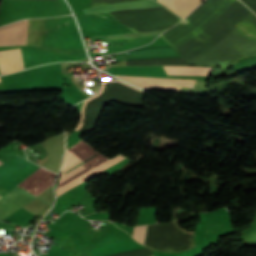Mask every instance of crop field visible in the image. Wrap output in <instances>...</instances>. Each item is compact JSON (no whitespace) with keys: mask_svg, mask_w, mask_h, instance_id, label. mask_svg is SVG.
Returning <instances> with one entry per match:
<instances>
[{"mask_svg":"<svg viewBox=\"0 0 256 256\" xmlns=\"http://www.w3.org/2000/svg\"><path fill=\"white\" fill-rule=\"evenodd\" d=\"M134 85L181 91L182 86L194 88L193 80L174 78H147L116 75Z\"/></svg>","mask_w":256,"mask_h":256,"instance_id":"2","label":"crop field"},{"mask_svg":"<svg viewBox=\"0 0 256 256\" xmlns=\"http://www.w3.org/2000/svg\"><path fill=\"white\" fill-rule=\"evenodd\" d=\"M29 163L30 162H28L18 156L13 157L7 163L0 166V180L15 173L16 171L22 169Z\"/></svg>","mask_w":256,"mask_h":256,"instance_id":"8","label":"crop field"},{"mask_svg":"<svg viewBox=\"0 0 256 256\" xmlns=\"http://www.w3.org/2000/svg\"><path fill=\"white\" fill-rule=\"evenodd\" d=\"M105 157L99 152H94L91 155L87 156L86 158L82 159L81 161L77 162L76 164L72 165L71 167L67 168L66 170L62 171L59 182L64 180L65 178L73 175L74 173L80 171L81 169L89 166L90 164L96 162L97 160ZM126 158L122 154H117L114 157L108 159L103 158L98 162L90 165L89 167L83 169L82 171L74 174L73 176L67 178L66 180L58 183L57 188V195L65 192L69 188L93 177L94 175L100 173L101 171L107 169L108 167L112 166L113 164L119 162L120 160ZM95 177V176H94Z\"/></svg>","mask_w":256,"mask_h":256,"instance_id":"1","label":"crop field"},{"mask_svg":"<svg viewBox=\"0 0 256 256\" xmlns=\"http://www.w3.org/2000/svg\"><path fill=\"white\" fill-rule=\"evenodd\" d=\"M23 68L24 66H23L20 48L0 51V73L1 74L11 73Z\"/></svg>","mask_w":256,"mask_h":256,"instance_id":"5","label":"crop field"},{"mask_svg":"<svg viewBox=\"0 0 256 256\" xmlns=\"http://www.w3.org/2000/svg\"><path fill=\"white\" fill-rule=\"evenodd\" d=\"M1 164L3 163L0 162V165ZM33 198L35 197L16 187L8 194L0 198V220H3L11 215L13 212L24 206Z\"/></svg>","mask_w":256,"mask_h":256,"instance_id":"3","label":"crop field"},{"mask_svg":"<svg viewBox=\"0 0 256 256\" xmlns=\"http://www.w3.org/2000/svg\"><path fill=\"white\" fill-rule=\"evenodd\" d=\"M54 175L55 174L40 167L23 181H21L17 186L27 190L28 192L36 196L37 194L33 193L32 191L45 183L50 178H52Z\"/></svg>","mask_w":256,"mask_h":256,"instance_id":"6","label":"crop field"},{"mask_svg":"<svg viewBox=\"0 0 256 256\" xmlns=\"http://www.w3.org/2000/svg\"><path fill=\"white\" fill-rule=\"evenodd\" d=\"M147 226L134 227L132 237H134L139 243H144L145 233Z\"/></svg>","mask_w":256,"mask_h":256,"instance_id":"9","label":"crop field"},{"mask_svg":"<svg viewBox=\"0 0 256 256\" xmlns=\"http://www.w3.org/2000/svg\"><path fill=\"white\" fill-rule=\"evenodd\" d=\"M167 6L169 9L177 13L179 16H182L185 4L187 0H157ZM202 0H188L183 16L184 18L189 14Z\"/></svg>","mask_w":256,"mask_h":256,"instance_id":"7","label":"crop field"},{"mask_svg":"<svg viewBox=\"0 0 256 256\" xmlns=\"http://www.w3.org/2000/svg\"><path fill=\"white\" fill-rule=\"evenodd\" d=\"M28 20L0 27V45H25Z\"/></svg>","mask_w":256,"mask_h":256,"instance_id":"4","label":"crop field"}]
</instances>
